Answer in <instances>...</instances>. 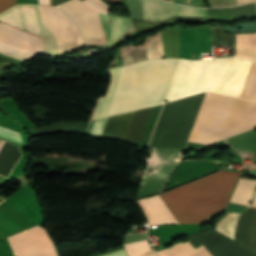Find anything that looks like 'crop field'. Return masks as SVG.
<instances>
[{
    "label": "crop field",
    "instance_id": "crop-field-31",
    "mask_svg": "<svg viewBox=\"0 0 256 256\" xmlns=\"http://www.w3.org/2000/svg\"><path fill=\"white\" fill-rule=\"evenodd\" d=\"M7 66H10V65L0 64V69L3 68V67H7Z\"/></svg>",
    "mask_w": 256,
    "mask_h": 256
},
{
    "label": "crop field",
    "instance_id": "crop-field-1",
    "mask_svg": "<svg viewBox=\"0 0 256 256\" xmlns=\"http://www.w3.org/2000/svg\"><path fill=\"white\" fill-rule=\"evenodd\" d=\"M180 60L161 59L112 68V80L106 97L101 98L94 118L114 115L163 103Z\"/></svg>",
    "mask_w": 256,
    "mask_h": 256
},
{
    "label": "crop field",
    "instance_id": "crop-field-17",
    "mask_svg": "<svg viewBox=\"0 0 256 256\" xmlns=\"http://www.w3.org/2000/svg\"><path fill=\"white\" fill-rule=\"evenodd\" d=\"M175 246L183 256H212L203 245L196 249L199 255L189 241L175 244ZM175 246L157 251V253L159 256H182Z\"/></svg>",
    "mask_w": 256,
    "mask_h": 256
},
{
    "label": "crop field",
    "instance_id": "crop-field-12",
    "mask_svg": "<svg viewBox=\"0 0 256 256\" xmlns=\"http://www.w3.org/2000/svg\"><path fill=\"white\" fill-rule=\"evenodd\" d=\"M65 5L73 10L86 24L89 34L90 45L107 44L105 34L97 12H95L81 0H74ZM66 6L62 5L60 6V8L68 13L80 25L86 44L89 45L88 34L84 23L73 11L68 9Z\"/></svg>",
    "mask_w": 256,
    "mask_h": 256
},
{
    "label": "crop field",
    "instance_id": "crop-field-22",
    "mask_svg": "<svg viewBox=\"0 0 256 256\" xmlns=\"http://www.w3.org/2000/svg\"><path fill=\"white\" fill-rule=\"evenodd\" d=\"M0 137L22 144L21 135L18 132L0 127Z\"/></svg>",
    "mask_w": 256,
    "mask_h": 256
},
{
    "label": "crop field",
    "instance_id": "crop-field-25",
    "mask_svg": "<svg viewBox=\"0 0 256 256\" xmlns=\"http://www.w3.org/2000/svg\"><path fill=\"white\" fill-rule=\"evenodd\" d=\"M14 1L13 0H0V12L10 8L11 6H13ZM17 5V1L15 0V4Z\"/></svg>",
    "mask_w": 256,
    "mask_h": 256
},
{
    "label": "crop field",
    "instance_id": "crop-field-14",
    "mask_svg": "<svg viewBox=\"0 0 256 256\" xmlns=\"http://www.w3.org/2000/svg\"><path fill=\"white\" fill-rule=\"evenodd\" d=\"M128 47H135V46L128 45V46L121 47V49L128 48ZM145 50H146L148 59L157 58V55H165L161 33L154 37H147ZM145 50H144V45L135 47V48L121 50L124 65L135 62V61L147 59Z\"/></svg>",
    "mask_w": 256,
    "mask_h": 256
},
{
    "label": "crop field",
    "instance_id": "crop-field-21",
    "mask_svg": "<svg viewBox=\"0 0 256 256\" xmlns=\"http://www.w3.org/2000/svg\"><path fill=\"white\" fill-rule=\"evenodd\" d=\"M211 20H230L233 19L230 8H218L207 10Z\"/></svg>",
    "mask_w": 256,
    "mask_h": 256
},
{
    "label": "crop field",
    "instance_id": "crop-field-13",
    "mask_svg": "<svg viewBox=\"0 0 256 256\" xmlns=\"http://www.w3.org/2000/svg\"><path fill=\"white\" fill-rule=\"evenodd\" d=\"M236 45V55L256 62V33L232 35L222 33V28H213V45Z\"/></svg>",
    "mask_w": 256,
    "mask_h": 256
},
{
    "label": "crop field",
    "instance_id": "crop-field-4",
    "mask_svg": "<svg viewBox=\"0 0 256 256\" xmlns=\"http://www.w3.org/2000/svg\"><path fill=\"white\" fill-rule=\"evenodd\" d=\"M256 127V103L206 94L188 141L208 145Z\"/></svg>",
    "mask_w": 256,
    "mask_h": 256
},
{
    "label": "crop field",
    "instance_id": "crop-field-28",
    "mask_svg": "<svg viewBox=\"0 0 256 256\" xmlns=\"http://www.w3.org/2000/svg\"><path fill=\"white\" fill-rule=\"evenodd\" d=\"M103 256H126V254L124 253L123 249L118 250L116 252L107 254V255H103Z\"/></svg>",
    "mask_w": 256,
    "mask_h": 256
},
{
    "label": "crop field",
    "instance_id": "crop-field-26",
    "mask_svg": "<svg viewBox=\"0 0 256 256\" xmlns=\"http://www.w3.org/2000/svg\"><path fill=\"white\" fill-rule=\"evenodd\" d=\"M171 2L172 0H165ZM199 0H173L175 3H183L196 6ZM200 2V1H199Z\"/></svg>",
    "mask_w": 256,
    "mask_h": 256
},
{
    "label": "crop field",
    "instance_id": "crop-field-18",
    "mask_svg": "<svg viewBox=\"0 0 256 256\" xmlns=\"http://www.w3.org/2000/svg\"><path fill=\"white\" fill-rule=\"evenodd\" d=\"M88 124H89V122L60 123V124H54L51 126L35 128V131H36L37 135L57 133V132L69 133L72 131H85L86 132Z\"/></svg>",
    "mask_w": 256,
    "mask_h": 256
},
{
    "label": "crop field",
    "instance_id": "crop-field-6",
    "mask_svg": "<svg viewBox=\"0 0 256 256\" xmlns=\"http://www.w3.org/2000/svg\"><path fill=\"white\" fill-rule=\"evenodd\" d=\"M204 93L165 104L149 146L183 149Z\"/></svg>",
    "mask_w": 256,
    "mask_h": 256
},
{
    "label": "crop field",
    "instance_id": "crop-field-30",
    "mask_svg": "<svg viewBox=\"0 0 256 256\" xmlns=\"http://www.w3.org/2000/svg\"><path fill=\"white\" fill-rule=\"evenodd\" d=\"M141 256H157V255L155 254V252L151 251V252H147Z\"/></svg>",
    "mask_w": 256,
    "mask_h": 256
},
{
    "label": "crop field",
    "instance_id": "crop-field-29",
    "mask_svg": "<svg viewBox=\"0 0 256 256\" xmlns=\"http://www.w3.org/2000/svg\"><path fill=\"white\" fill-rule=\"evenodd\" d=\"M236 1H237V4H244V3H248L256 0H236Z\"/></svg>",
    "mask_w": 256,
    "mask_h": 256
},
{
    "label": "crop field",
    "instance_id": "crop-field-5",
    "mask_svg": "<svg viewBox=\"0 0 256 256\" xmlns=\"http://www.w3.org/2000/svg\"><path fill=\"white\" fill-rule=\"evenodd\" d=\"M0 20L40 34L34 5H18L0 15ZM0 52L27 60L45 53L42 38L0 22Z\"/></svg>",
    "mask_w": 256,
    "mask_h": 256
},
{
    "label": "crop field",
    "instance_id": "crop-field-7",
    "mask_svg": "<svg viewBox=\"0 0 256 256\" xmlns=\"http://www.w3.org/2000/svg\"><path fill=\"white\" fill-rule=\"evenodd\" d=\"M143 16L146 20L156 21L174 17H193V18H207L204 9L187 7L181 5L168 4L153 0H141ZM103 28L108 40L109 45L117 42L118 40L126 37L128 33H130L133 29H139L163 22H168L177 19H192V18H175L164 21L151 22L140 19H131L102 15L99 14ZM194 20H207V19H194Z\"/></svg>",
    "mask_w": 256,
    "mask_h": 256
},
{
    "label": "crop field",
    "instance_id": "crop-field-9",
    "mask_svg": "<svg viewBox=\"0 0 256 256\" xmlns=\"http://www.w3.org/2000/svg\"><path fill=\"white\" fill-rule=\"evenodd\" d=\"M149 111L150 108H146L107 117L108 121L107 118L96 120L90 134L101 135L107 121L102 135L138 144Z\"/></svg>",
    "mask_w": 256,
    "mask_h": 256
},
{
    "label": "crop field",
    "instance_id": "crop-field-16",
    "mask_svg": "<svg viewBox=\"0 0 256 256\" xmlns=\"http://www.w3.org/2000/svg\"><path fill=\"white\" fill-rule=\"evenodd\" d=\"M255 185L256 180L241 177L230 202L256 207V196L253 203L248 205Z\"/></svg>",
    "mask_w": 256,
    "mask_h": 256
},
{
    "label": "crop field",
    "instance_id": "crop-field-19",
    "mask_svg": "<svg viewBox=\"0 0 256 256\" xmlns=\"http://www.w3.org/2000/svg\"><path fill=\"white\" fill-rule=\"evenodd\" d=\"M242 98L256 101V64L253 63Z\"/></svg>",
    "mask_w": 256,
    "mask_h": 256
},
{
    "label": "crop field",
    "instance_id": "crop-field-32",
    "mask_svg": "<svg viewBox=\"0 0 256 256\" xmlns=\"http://www.w3.org/2000/svg\"><path fill=\"white\" fill-rule=\"evenodd\" d=\"M2 143H3V141H2V140H0V146L2 145Z\"/></svg>",
    "mask_w": 256,
    "mask_h": 256
},
{
    "label": "crop field",
    "instance_id": "crop-field-23",
    "mask_svg": "<svg viewBox=\"0 0 256 256\" xmlns=\"http://www.w3.org/2000/svg\"><path fill=\"white\" fill-rule=\"evenodd\" d=\"M83 2H85L98 13L106 14L109 9L108 6L100 0H83Z\"/></svg>",
    "mask_w": 256,
    "mask_h": 256
},
{
    "label": "crop field",
    "instance_id": "crop-field-20",
    "mask_svg": "<svg viewBox=\"0 0 256 256\" xmlns=\"http://www.w3.org/2000/svg\"><path fill=\"white\" fill-rule=\"evenodd\" d=\"M128 256H139L147 251H151L148 240L124 245Z\"/></svg>",
    "mask_w": 256,
    "mask_h": 256
},
{
    "label": "crop field",
    "instance_id": "crop-field-8",
    "mask_svg": "<svg viewBox=\"0 0 256 256\" xmlns=\"http://www.w3.org/2000/svg\"><path fill=\"white\" fill-rule=\"evenodd\" d=\"M47 54H57L84 45L74 21L56 7L35 5Z\"/></svg>",
    "mask_w": 256,
    "mask_h": 256
},
{
    "label": "crop field",
    "instance_id": "crop-field-11",
    "mask_svg": "<svg viewBox=\"0 0 256 256\" xmlns=\"http://www.w3.org/2000/svg\"><path fill=\"white\" fill-rule=\"evenodd\" d=\"M14 256H57L44 229L39 225L6 239Z\"/></svg>",
    "mask_w": 256,
    "mask_h": 256
},
{
    "label": "crop field",
    "instance_id": "crop-field-2",
    "mask_svg": "<svg viewBox=\"0 0 256 256\" xmlns=\"http://www.w3.org/2000/svg\"><path fill=\"white\" fill-rule=\"evenodd\" d=\"M251 62L235 57L206 61L182 60L167 102L202 91L239 97Z\"/></svg>",
    "mask_w": 256,
    "mask_h": 256
},
{
    "label": "crop field",
    "instance_id": "crop-field-3",
    "mask_svg": "<svg viewBox=\"0 0 256 256\" xmlns=\"http://www.w3.org/2000/svg\"><path fill=\"white\" fill-rule=\"evenodd\" d=\"M240 174L219 171L160 197L179 223L201 224L225 208Z\"/></svg>",
    "mask_w": 256,
    "mask_h": 256
},
{
    "label": "crop field",
    "instance_id": "crop-field-24",
    "mask_svg": "<svg viewBox=\"0 0 256 256\" xmlns=\"http://www.w3.org/2000/svg\"><path fill=\"white\" fill-rule=\"evenodd\" d=\"M212 7L235 5L234 0H208Z\"/></svg>",
    "mask_w": 256,
    "mask_h": 256
},
{
    "label": "crop field",
    "instance_id": "crop-field-10",
    "mask_svg": "<svg viewBox=\"0 0 256 256\" xmlns=\"http://www.w3.org/2000/svg\"><path fill=\"white\" fill-rule=\"evenodd\" d=\"M240 214L228 213L225 218L220 220L216 230L234 239ZM235 241L256 251V208L248 207L242 212L238 220Z\"/></svg>",
    "mask_w": 256,
    "mask_h": 256
},
{
    "label": "crop field",
    "instance_id": "crop-field-15",
    "mask_svg": "<svg viewBox=\"0 0 256 256\" xmlns=\"http://www.w3.org/2000/svg\"><path fill=\"white\" fill-rule=\"evenodd\" d=\"M138 203L148 217L149 226L164 223L179 224L166 205L161 201L159 195L139 200Z\"/></svg>",
    "mask_w": 256,
    "mask_h": 256
},
{
    "label": "crop field",
    "instance_id": "crop-field-27",
    "mask_svg": "<svg viewBox=\"0 0 256 256\" xmlns=\"http://www.w3.org/2000/svg\"><path fill=\"white\" fill-rule=\"evenodd\" d=\"M68 0H53V5H58L60 3L66 2ZM40 4H46V5H51L50 0H39Z\"/></svg>",
    "mask_w": 256,
    "mask_h": 256
}]
</instances>
